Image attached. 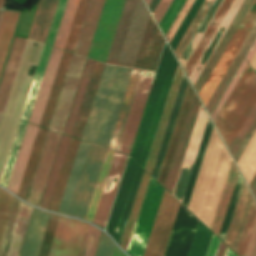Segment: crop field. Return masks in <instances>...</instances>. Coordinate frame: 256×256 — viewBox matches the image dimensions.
Wrapping results in <instances>:
<instances>
[{
  "label": "crop field",
  "mask_w": 256,
  "mask_h": 256,
  "mask_svg": "<svg viewBox=\"0 0 256 256\" xmlns=\"http://www.w3.org/2000/svg\"><path fill=\"white\" fill-rule=\"evenodd\" d=\"M131 70L104 66L82 140L108 147Z\"/></svg>",
  "instance_id": "1"
},
{
  "label": "crop field",
  "mask_w": 256,
  "mask_h": 256,
  "mask_svg": "<svg viewBox=\"0 0 256 256\" xmlns=\"http://www.w3.org/2000/svg\"><path fill=\"white\" fill-rule=\"evenodd\" d=\"M105 150L80 142L59 213L85 218Z\"/></svg>",
  "instance_id": "2"
},
{
  "label": "crop field",
  "mask_w": 256,
  "mask_h": 256,
  "mask_svg": "<svg viewBox=\"0 0 256 256\" xmlns=\"http://www.w3.org/2000/svg\"><path fill=\"white\" fill-rule=\"evenodd\" d=\"M149 17L141 0H126L106 63L134 66Z\"/></svg>",
  "instance_id": "3"
},
{
  "label": "crop field",
  "mask_w": 256,
  "mask_h": 256,
  "mask_svg": "<svg viewBox=\"0 0 256 256\" xmlns=\"http://www.w3.org/2000/svg\"><path fill=\"white\" fill-rule=\"evenodd\" d=\"M256 103V74L248 65L214 124L228 149Z\"/></svg>",
  "instance_id": "4"
},
{
  "label": "crop field",
  "mask_w": 256,
  "mask_h": 256,
  "mask_svg": "<svg viewBox=\"0 0 256 256\" xmlns=\"http://www.w3.org/2000/svg\"><path fill=\"white\" fill-rule=\"evenodd\" d=\"M255 23L256 0L253 1L245 17L198 94L205 107Z\"/></svg>",
  "instance_id": "5"
},
{
  "label": "crop field",
  "mask_w": 256,
  "mask_h": 256,
  "mask_svg": "<svg viewBox=\"0 0 256 256\" xmlns=\"http://www.w3.org/2000/svg\"><path fill=\"white\" fill-rule=\"evenodd\" d=\"M248 190L243 183L225 240L239 256L244 255L256 219V203Z\"/></svg>",
  "instance_id": "6"
},
{
  "label": "crop field",
  "mask_w": 256,
  "mask_h": 256,
  "mask_svg": "<svg viewBox=\"0 0 256 256\" xmlns=\"http://www.w3.org/2000/svg\"><path fill=\"white\" fill-rule=\"evenodd\" d=\"M164 189L150 178L127 253L142 256Z\"/></svg>",
  "instance_id": "7"
},
{
  "label": "crop field",
  "mask_w": 256,
  "mask_h": 256,
  "mask_svg": "<svg viewBox=\"0 0 256 256\" xmlns=\"http://www.w3.org/2000/svg\"><path fill=\"white\" fill-rule=\"evenodd\" d=\"M125 0H105L88 58L106 62Z\"/></svg>",
  "instance_id": "8"
},
{
  "label": "crop field",
  "mask_w": 256,
  "mask_h": 256,
  "mask_svg": "<svg viewBox=\"0 0 256 256\" xmlns=\"http://www.w3.org/2000/svg\"><path fill=\"white\" fill-rule=\"evenodd\" d=\"M180 203L164 191L143 256H163Z\"/></svg>",
  "instance_id": "9"
},
{
  "label": "crop field",
  "mask_w": 256,
  "mask_h": 256,
  "mask_svg": "<svg viewBox=\"0 0 256 256\" xmlns=\"http://www.w3.org/2000/svg\"><path fill=\"white\" fill-rule=\"evenodd\" d=\"M155 72L141 71L117 151L128 154Z\"/></svg>",
  "instance_id": "10"
},
{
  "label": "crop field",
  "mask_w": 256,
  "mask_h": 256,
  "mask_svg": "<svg viewBox=\"0 0 256 256\" xmlns=\"http://www.w3.org/2000/svg\"><path fill=\"white\" fill-rule=\"evenodd\" d=\"M85 58L73 55L62 92L50 125V130L63 132L74 94L82 73Z\"/></svg>",
  "instance_id": "11"
},
{
  "label": "crop field",
  "mask_w": 256,
  "mask_h": 256,
  "mask_svg": "<svg viewBox=\"0 0 256 256\" xmlns=\"http://www.w3.org/2000/svg\"><path fill=\"white\" fill-rule=\"evenodd\" d=\"M85 225L60 216L49 256H77Z\"/></svg>",
  "instance_id": "12"
},
{
  "label": "crop field",
  "mask_w": 256,
  "mask_h": 256,
  "mask_svg": "<svg viewBox=\"0 0 256 256\" xmlns=\"http://www.w3.org/2000/svg\"><path fill=\"white\" fill-rule=\"evenodd\" d=\"M60 134L48 131L45 144L38 162V166L30 187L27 202L39 205L42 192L50 171V167L57 149Z\"/></svg>",
  "instance_id": "13"
},
{
  "label": "crop field",
  "mask_w": 256,
  "mask_h": 256,
  "mask_svg": "<svg viewBox=\"0 0 256 256\" xmlns=\"http://www.w3.org/2000/svg\"><path fill=\"white\" fill-rule=\"evenodd\" d=\"M127 156L120 153H115L110 172L99 202V206L94 218V223L105 226L110 207L121 177V173Z\"/></svg>",
  "instance_id": "14"
},
{
  "label": "crop field",
  "mask_w": 256,
  "mask_h": 256,
  "mask_svg": "<svg viewBox=\"0 0 256 256\" xmlns=\"http://www.w3.org/2000/svg\"><path fill=\"white\" fill-rule=\"evenodd\" d=\"M62 50L52 48L41 85L29 118V123L40 125L41 118L48 100V96L54 81V77L60 62Z\"/></svg>",
  "instance_id": "15"
},
{
  "label": "crop field",
  "mask_w": 256,
  "mask_h": 256,
  "mask_svg": "<svg viewBox=\"0 0 256 256\" xmlns=\"http://www.w3.org/2000/svg\"><path fill=\"white\" fill-rule=\"evenodd\" d=\"M193 91L190 87V85L188 84L182 105H181V109L165 154V158L158 176L157 181L159 183H161L163 186H165L167 177H168V173L175 155V151L183 130V126L190 108V104L193 98Z\"/></svg>",
  "instance_id": "16"
},
{
  "label": "crop field",
  "mask_w": 256,
  "mask_h": 256,
  "mask_svg": "<svg viewBox=\"0 0 256 256\" xmlns=\"http://www.w3.org/2000/svg\"><path fill=\"white\" fill-rule=\"evenodd\" d=\"M252 1L253 0L243 1L241 7L239 8L238 12L236 13L235 17L233 18L232 22L224 33L222 39L220 40L219 44L217 45L216 49L214 50L213 54L205 65L203 71L201 72L200 76L198 77L197 81L193 86L197 94L201 89L202 85L204 84L205 80L207 79L208 75L210 74L218 58L220 57L221 53L223 52L224 48L226 47L227 43L229 42L230 38L232 37L233 33L235 32L236 28L238 27L239 23L241 22Z\"/></svg>",
  "instance_id": "17"
},
{
  "label": "crop field",
  "mask_w": 256,
  "mask_h": 256,
  "mask_svg": "<svg viewBox=\"0 0 256 256\" xmlns=\"http://www.w3.org/2000/svg\"><path fill=\"white\" fill-rule=\"evenodd\" d=\"M49 215L33 209L21 256H39Z\"/></svg>",
  "instance_id": "18"
},
{
  "label": "crop field",
  "mask_w": 256,
  "mask_h": 256,
  "mask_svg": "<svg viewBox=\"0 0 256 256\" xmlns=\"http://www.w3.org/2000/svg\"><path fill=\"white\" fill-rule=\"evenodd\" d=\"M27 40L15 38L0 83V113H3Z\"/></svg>",
  "instance_id": "19"
},
{
  "label": "crop field",
  "mask_w": 256,
  "mask_h": 256,
  "mask_svg": "<svg viewBox=\"0 0 256 256\" xmlns=\"http://www.w3.org/2000/svg\"><path fill=\"white\" fill-rule=\"evenodd\" d=\"M199 106H200V104H199L196 96L194 95V98H193V101L191 104V108H190V111H189V114H188V117H187V120H186V123L184 126V130H183V133H182V136H181V139H180L177 151H176V155H175V158H174V161H173L170 173H169V177H168V180H167V183L165 186V188L170 193H172V190H173V187H174V184L176 181V177H177V174H178V171H179V168H180V165H181L184 153H185V149H186V146H187L194 122H195V118H196Z\"/></svg>",
  "instance_id": "20"
},
{
  "label": "crop field",
  "mask_w": 256,
  "mask_h": 256,
  "mask_svg": "<svg viewBox=\"0 0 256 256\" xmlns=\"http://www.w3.org/2000/svg\"><path fill=\"white\" fill-rule=\"evenodd\" d=\"M37 126L27 125L23 141L12 171V175L8 184L9 189L14 194H17L20 181L27 163V159L34 141V137L37 131Z\"/></svg>",
  "instance_id": "21"
},
{
  "label": "crop field",
  "mask_w": 256,
  "mask_h": 256,
  "mask_svg": "<svg viewBox=\"0 0 256 256\" xmlns=\"http://www.w3.org/2000/svg\"><path fill=\"white\" fill-rule=\"evenodd\" d=\"M104 0H91L87 15L78 39L75 54L87 56L91 40L102 10Z\"/></svg>",
  "instance_id": "22"
},
{
  "label": "crop field",
  "mask_w": 256,
  "mask_h": 256,
  "mask_svg": "<svg viewBox=\"0 0 256 256\" xmlns=\"http://www.w3.org/2000/svg\"><path fill=\"white\" fill-rule=\"evenodd\" d=\"M58 0H40L28 38L45 41L49 25Z\"/></svg>",
  "instance_id": "23"
},
{
  "label": "crop field",
  "mask_w": 256,
  "mask_h": 256,
  "mask_svg": "<svg viewBox=\"0 0 256 256\" xmlns=\"http://www.w3.org/2000/svg\"><path fill=\"white\" fill-rule=\"evenodd\" d=\"M32 209V207L20 202L6 256H20Z\"/></svg>",
  "instance_id": "24"
},
{
  "label": "crop field",
  "mask_w": 256,
  "mask_h": 256,
  "mask_svg": "<svg viewBox=\"0 0 256 256\" xmlns=\"http://www.w3.org/2000/svg\"><path fill=\"white\" fill-rule=\"evenodd\" d=\"M72 53H68V52H63L62 58H61V62L55 77V81L49 96V100L43 115V119L41 122V127L44 128H49L59 95H60V91L72 58Z\"/></svg>",
  "instance_id": "25"
},
{
  "label": "crop field",
  "mask_w": 256,
  "mask_h": 256,
  "mask_svg": "<svg viewBox=\"0 0 256 256\" xmlns=\"http://www.w3.org/2000/svg\"><path fill=\"white\" fill-rule=\"evenodd\" d=\"M182 75H183V73H182L180 67L178 66V69H177V72H176V75H175V78L173 81V85H172V88H171V91H170V94H169V97H168V100H167V103H166V106H165V109H164V112L162 115V119H161L158 131H157V134H156V137H155L152 149H151V153H150V156H149L146 168H145V170L149 174H151V171H152V168H153V165L155 162V158H156V155H157V152H158V149H159V146H160V143H161V140H162L165 128H166V124H167V121H168V118H169V115H170V112H171V109H172V106H173V103H174V100H175V97L177 94V90H178Z\"/></svg>",
  "instance_id": "26"
},
{
  "label": "crop field",
  "mask_w": 256,
  "mask_h": 256,
  "mask_svg": "<svg viewBox=\"0 0 256 256\" xmlns=\"http://www.w3.org/2000/svg\"><path fill=\"white\" fill-rule=\"evenodd\" d=\"M47 131H48L47 129H43L39 127L35 137V141H34V144L28 159V163L21 181V185L17 194V196L25 200L29 191V187L36 169V165H37L43 144H44Z\"/></svg>",
  "instance_id": "27"
},
{
  "label": "crop field",
  "mask_w": 256,
  "mask_h": 256,
  "mask_svg": "<svg viewBox=\"0 0 256 256\" xmlns=\"http://www.w3.org/2000/svg\"><path fill=\"white\" fill-rule=\"evenodd\" d=\"M79 142H80L79 140H76L73 138L71 139V142H70V145H69V148H68V151H67V154H66L49 208H48L51 211H55V212L58 211Z\"/></svg>",
  "instance_id": "28"
},
{
  "label": "crop field",
  "mask_w": 256,
  "mask_h": 256,
  "mask_svg": "<svg viewBox=\"0 0 256 256\" xmlns=\"http://www.w3.org/2000/svg\"><path fill=\"white\" fill-rule=\"evenodd\" d=\"M187 84H188V82H187L185 76L183 75V78H182V81H181V84L179 87V91H178V94H177V97H176V100H175V103H174V106H173V109H172V112H171V115H170V118L168 121V125H167L166 131H165V134H164V137H163V140H162V143H161L158 155H157V159H156V162H155L152 174H151V176L154 177L155 179H157V176H158V173H159V170H160L163 158H164V154H165V151H166V148H167V145H168V142H169V139H170V136H171V133H172L179 109H180V105H181Z\"/></svg>",
  "instance_id": "29"
},
{
  "label": "crop field",
  "mask_w": 256,
  "mask_h": 256,
  "mask_svg": "<svg viewBox=\"0 0 256 256\" xmlns=\"http://www.w3.org/2000/svg\"><path fill=\"white\" fill-rule=\"evenodd\" d=\"M103 66H104L103 64H100L97 62L95 63V66H94V69L92 72V76H91V79H90V82H89V85H88V88H87V91H86V94L84 97V101H83V104H82V107H81V110H80V113H79V116H78V119L76 122V126L74 129L73 135H72L73 137H76L79 139L81 138V135H82V132L84 129V125H85V122H86V119H87V116H88V113H89V110H90V107L92 104V100H93V97H94V94H95V91H96V88H97V85H98V82L100 79V75H101Z\"/></svg>",
  "instance_id": "30"
},
{
  "label": "crop field",
  "mask_w": 256,
  "mask_h": 256,
  "mask_svg": "<svg viewBox=\"0 0 256 256\" xmlns=\"http://www.w3.org/2000/svg\"><path fill=\"white\" fill-rule=\"evenodd\" d=\"M70 139V137H66L63 135L61 136L59 146L53 161V165L39 207L46 209L48 208Z\"/></svg>",
  "instance_id": "31"
},
{
  "label": "crop field",
  "mask_w": 256,
  "mask_h": 256,
  "mask_svg": "<svg viewBox=\"0 0 256 256\" xmlns=\"http://www.w3.org/2000/svg\"><path fill=\"white\" fill-rule=\"evenodd\" d=\"M94 63H95L94 61H91L88 59L86 60V63H85L84 69H83V73H82V76H81V79H80V82H79V85H78V88H77V91L75 94V98H74V101H73V104H72V107H71V110H70V113H69V116L67 119V123H66L65 129H64V132H63L64 134H67L70 136L72 135V132H73V129L75 126V122H76V119H77V116H78V113H79V110H80V107H81V104L83 101V97H84V94H85V91H86V88H87V85H88V82H89V79L91 76V72H92Z\"/></svg>",
  "instance_id": "32"
},
{
  "label": "crop field",
  "mask_w": 256,
  "mask_h": 256,
  "mask_svg": "<svg viewBox=\"0 0 256 256\" xmlns=\"http://www.w3.org/2000/svg\"><path fill=\"white\" fill-rule=\"evenodd\" d=\"M233 1L234 0H225L222 6L220 7L219 11L217 12L215 18L213 19L212 23L210 24L205 35L203 36L198 47L196 48L195 52L193 53L192 57L190 58L188 64L184 69L188 77L192 72L193 68L195 67L200 56L202 55L203 51L205 50L206 46L208 45L209 41L211 40L212 36L214 35L222 19L224 18L225 14L227 13L228 9L230 8L231 4L233 3Z\"/></svg>",
  "instance_id": "33"
},
{
  "label": "crop field",
  "mask_w": 256,
  "mask_h": 256,
  "mask_svg": "<svg viewBox=\"0 0 256 256\" xmlns=\"http://www.w3.org/2000/svg\"><path fill=\"white\" fill-rule=\"evenodd\" d=\"M140 71L141 70H137V69L132 70L131 77H130V80H129V83H128V86L126 89V93H125V96H124V99H123V102L121 105V109H120V112H119V115H118V118L116 121V125L114 128L112 137H111V141H110V144L108 147L110 149H114V150L116 149V146H117V143L119 140V136H120V133H121V130H122V127H123V124H124V121H125V118L127 115V111H128V108H129V105H130V102H131V99H132V96H133V93L135 90V86H136Z\"/></svg>",
  "instance_id": "34"
},
{
  "label": "crop field",
  "mask_w": 256,
  "mask_h": 256,
  "mask_svg": "<svg viewBox=\"0 0 256 256\" xmlns=\"http://www.w3.org/2000/svg\"><path fill=\"white\" fill-rule=\"evenodd\" d=\"M149 178H150V176L148 174H146L145 172H143V175H142V178L140 181V185H139V188H138V191H137V194H136L133 206H132V210H131V213H130V216H129V219H128V222H127V225H126V228L124 231V235H123V238H122V241L120 244V246L125 251H127V247H128V244H129V241H130V238H131L134 226H135V222H136V219H137L140 207H141V203H142V200H143L146 188H147Z\"/></svg>",
  "instance_id": "35"
},
{
  "label": "crop field",
  "mask_w": 256,
  "mask_h": 256,
  "mask_svg": "<svg viewBox=\"0 0 256 256\" xmlns=\"http://www.w3.org/2000/svg\"><path fill=\"white\" fill-rule=\"evenodd\" d=\"M256 37V24L252 29L251 33L249 34L248 38L246 39L245 43L243 44L242 48L240 49L238 55L236 56L235 60L233 61L232 65L230 66L229 70L227 71L226 75L224 76L223 80L221 81L220 85L218 86L216 92L214 93L213 97L211 98L210 102L208 103L206 109L210 114L211 110L213 109L214 105L216 104L217 100L219 99L220 95L222 94L223 90L225 89L227 83L229 82L230 78L232 77L233 73L235 72L236 68L238 67L239 63L241 62L242 58L244 57L245 53L247 52L248 48L250 47L251 43L253 42L254 38Z\"/></svg>",
  "instance_id": "36"
},
{
  "label": "crop field",
  "mask_w": 256,
  "mask_h": 256,
  "mask_svg": "<svg viewBox=\"0 0 256 256\" xmlns=\"http://www.w3.org/2000/svg\"><path fill=\"white\" fill-rule=\"evenodd\" d=\"M51 48L52 47L50 46H46V45L44 46L32 85H31L21 118H20L21 120H24L26 122L28 121Z\"/></svg>",
  "instance_id": "37"
},
{
  "label": "crop field",
  "mask_w": 256,
  "mask_h": 256,
  "mask_svg": "<svg viewBox=\"0 0 256 256\" xmlns=\"http://www.w3.org/2000/svg\"><path fill=\"white\" fill-rule=\"evenodd\" d=\"M238 171L232 162L211 230L218 235Z\"/></svg>",
  "instance_id": "38"
},
{
  "label": "crop field",
  "mask_w": 256,
  "mask_h": 256,
  "mask_svg": "<svg viewBox=\"0 0 256 256\" xmlns=\"http://www.w3.org/2000/svg\"><path fill=\"white\" fill-rule=\"evenodd\" d=\"M113 153H114L113 151H110L108 149L106 150V154H105V157H104L101 169H100V173H99V176H98V179L96 182V186H95V189H94V192L92 195V199H91V202H90V205H89V208L87 211V215L85 218L86 220H88L90 222H92V219H93V216L95 213V209H96V206H97V203H98L101 191H102V187H103V184H104V181H105V178H106L109 166H110V162H111Z\"/></svg>",
  "instance_id": "39"
},
{
  "label": "crop field",
  "mask_w": 256,
  "mask_h": 256,
  "mask_svg": "<svg viewBox=\"0 0 256 256\" xmlns=\"http://www.w3.org/2000/svg\"><path fill=\"white\" fill-rule=\"evenodd\" d=\"M19 13L6 11L0 27V70Z\"/></svg>",
  "instance_id": "40"
},
{
  "label": "crop field",
  "mask_w": 256,
  "mask_h": 256,
  "mask_svg": "<svg viewBox=\"0 0 256 256\" xmlns=\"http://www.w3.org/2000/svg\"><path fill=\"white\" fill-rule=\"evenodd\" d=\"M79 0H68L59 30L54 42V47L64 48Z\"/></svg>",
  "instance_id": "41"
},
{
  "label": "crop field",
  "mask_w": 256,
  "mask_h": 256,
  "mask_svg": "<svg viewBox=\"0 0 256 256\" xmlns=\"http://www.w3.org/2000/svg\"><path fill=\"white\" fill-rule=\"evenodd\" d=\"M89 2L90 0H80L79 2L76 15L64 48L65 50L70 51L72 53L74 52Z\"/></svg>",
  "instance_id": "42"
},
{
  "label": "crop field",
  "mask_w": 256,
  "mask_h": 256,
  "mask_svg": "<svg viewBox=\"0 0 256 256\" xmlns=\"http://www.w3.org/2000/svg\"><path fill=\"white\" fill-rule=\"evenodd\" d=\"M213 1L214 0H205L198 13L196 14L195 18L193 19L191 25L189 26L188 30L186 31L185 35L183 36L182 40L180 41L178 47L174 52L178 60L182 55L183 51L185 50L186 46L188 45L189 41L191 40L192 36L194 35L195 31L197 30L198 26L200 25L201 21L203 20Z\"/></svg>",
  "instance_id": "43"
},
{
  "label": "crop field",
  "mask_w": 256,
  "mask_h": 256,
  "mask_svg": "<svg viewBox=\"0 0 256 256\" xmlns=\"http://www.w3.org/2000/svg\"><path fill=\"white\" fill-rule=\"evenodd\" d=\"M26 125H27L26 123H23L21 121L19 122L18 129H17L16 135H15L13 145H12V148H11V151H10V154L8 157V161H7L4 173H3V177H2V180L0 183L4 187H7V184H8V181H9V178L11 175V171H12V168H13V165H14V162H15V159H16L21 141H22V137H23Z\"/></svg>",
  "instance_id": "44"
},
{
  "label": "crop field",
  "mask_w": 256,
  "mask_h": 256,
  "mask_svg": "<svg viewBox=\"0 0 256 256\" xmlns=\"http://www.w3.org/2000/svg\"><path fill=\"white\" fill-rule=\"evenodd\" d=\"M247 65V62L245 61V59H243L242 63L240 64L239 68L237 69L236 73L234 74L226 90L224 91L223 95L221 96L220 100L218 101L217 105L215 106L214 110L210 115L213 122L217 117L218 113L220 112L221 108L223 107L224 103L226 102L227 98L229 97L230 93L234 89L235 85L237 84L238 80L240 79L241 75L243 74L244 70L246 69Z\"/></svg>",
  "instance_id": "45"
},
{
  "label": "crop field",
  "mask_w": 256,
  "mask_h": 256,
  "mask_svg": "<svg viewBox=\"0 0 256 256\" xmlns=\"http://www.w3.org/2000/svg\"><path fill=\"white\" fill-rule=\"evenodd\" d=\"M13 198L14 197L12 195L0 189V244L4 234Z\"/></svg>",
  "instance_id": "46"
},
{
  "label": "crop field",
  "mask_w": 256,
  "mask_h": 256,
  "mask_svg": "<svg viewBox=\"0 0 256 256\" xmlns=\"http://www.w3.org/2000/svg\"><path fill=\"white\" fill-rule=\"evenodd\" d=\"M184 2L185 0H174L170 8L168 9L167 13L165 14L163 20L161 21L160 25L158 24L164 36L168 31L169 27L171 26L172 22L174 21L176 15L178 14Z\"/></svg>",
  "instance_id": "47"
},
{
  "label": "crop field",
  "mask_w": 256,
  "mask_h": 256,
  "mask_svg": "<svg viewBox=\"0 0 256 256\" xmlns=\"http://www.w3.org/2000/svg\"><path fill=\"white\" fill-rule=\"evenodd\" d=\"M58 217L59 216H57V215H53V214L50 215V219H49L46 234L44 237L43 245L41 248L40 256H48V254H49V250L51 247V243H52L55 228L57 225Z\"/></svg>",
  "instance_id": "48"
},
{
  "label": "crop field",
  "mask_w": 256,
  "mask_h": 256,
  "mask_svg": "<svg viewBox=\"0 0 256 256\" xmlns=\"http://www.w3.org/2000/svg\"><path fill=\"white\" fill-rule=\"evenodd\" d=\"M66 2H67V0H59V2H58L56 12H55V15H54V18H53L46 42H45L46 44H49L51 46L53 45Z\"/></svg>",
  "instance_id": "49"
},
{
  "label": "crop field",
  "mask_w": 256,
  "mask_h": 256,
  "mask_svg": "<svg viewBox=\"0 0 256 256\" xmlns=\"http://www.w3.org/2000/svg\"><path fill=\"white\" fill-rule=\"evenodd\" d=\"M19 202H20L19 200L14 198V202H13L12 209L10 212L9 220L7 223V227H6L5 234H4L3 241L1 244V248H0V256H5L7 245H8L9 238H10L11 231H12V227H13L14 220L16 217L17 209L19 206Z\"/></svg>",
  "instance_id": "50"
},
{
  "label": "crop field",
  "mask_w": 256,
  "mask_h": 256,
  "mask_svg": "<svg viewBox=\"0 0 256 256\" xmlns=\"http://www.w3.org/2000/svg\"><path fill=\"white\" fill-rule=\"evenodd\" d=\"M255 119H256V104L229 149L230 152L232 153V156L234 155L237 148L241 144L242 140L244 139L245 135L247 134L248 130L250 129V127L253 124V122L255 121Z\"/></svg>",
  "instance_id": "51"
},
{
  "label": "crop field",
  "mask_w": 256,
  "mask_h": 256,
  "mask_svg": "<svg viewBox=\"0 0 256 256\" xmlns=\"http://www.w3.org/2000/svg\"><path fill=\"white\" fill-rule=\"evenodd\" d=\"M115 244L103 233H101L96 256H112Z\"/></svg>",
  "instance_id": "52"
},
{
  "label": "crop field",
  "mask_w": 256,
  "mask_h": 256,
  "mask_svg": "<svg viewBox=\"0 0 256 256\" xmlns=\"http://www.w3.org/2000/svg\"><path fill=\"white\" fill-rule=\"evenodd\" d=\"M100 233H101V231H99L97 228H95L93 226L91 227V231H90V235H89V239H88V243L86 246L84 256H94L95 255V251L97 248Z\"/></svg>",
  "instance_id": "53"
},
{
  "label": "crop field",
  "mask_w": 256,
  "mask_h": 256,
  "mask_svg": "<svg viewBox=\"0 0 256 256\" xmlns=\"http://www.w3.org/2000/svg\"><path fill=\"white\" fill-rule=\"evenodd\" d=\"M194 0H186L185 4L183 5L182 9L180 10L178 16L176 17L175 21L173 22L172 26L170 27L169 31L166 34V39L169 43L170 39L172 38L173 34L175 33L176 29L178 28L180 22L182 21L183 17L185 16L186 12L188 11L189 7L191 6Z\"/></svg>",
  "instance_id": "54"
},
{
  "label": "crop field",
  "mask_w": 256,
  "mask_h": 256,
  "mask_svg": "<svg viewBox=\"0 0 256 256\" xmlns=\"http://www.w3.org/2000/svg\"><path fill=\"white\" fill-rule=\"evenodd\" d=\"M172 0H160L159 4L154 10V18L156 22L159 24L161 19L163 18L166 10L168 9L169 5L171 4Z\"/></svg>",
  "instance_id": "55"
},
{
  "label": "crop field",
  "mask_w": 256,
  "mask_h": 256,
  "mask_svg": "<svg viewBox=\"0 0 256 256\" xmlns=\"http://www.w3.org/2000/svg\"><path fill=\"white\" fill-rule=\"evenodd\" d=\"M256 130V121L254 122L253 126L249 130L248 134L246 135L245 139L243 140L242 144L238 148L237 152L234 155V160L237 162L239 157L241 156L243 150L245 149L246 145L248 144L250 138L252 137L254 131Z\"/></svg>",
  "instance_id": "56"
},
{
  "label": "crop field",
  "mask_w": 256,
  "mask_h": 256,
  "mask_svg": "<svg viewBox=\"0 0 256 256\" xmlns=\"http://www.w3.org/2000/svg\"><path fill=\"white\" fill-rule=\"evenodd\" d=\"M220 240L212 235L206 256H215Z\"/></svg>",
  "instance_id": "57"
},
{
  "label": "crop field",
  "mask_w": 256,
  "mask_h": 256,
  "mask_svg": "<svg viewBox=\"0 0 256 256\" xmlns=\"http://www.w3.org/2000/svg\"><path fill=\"white\" fill-rule=\"evenodd\" d=\"M255 240H256V222H255V225H254V228H253V231H252V234H251V237H250V240H249V243H248V246H247L244 256H251V253H252V250H253V247L255 244Z\"/></svg>",
  "instance_id": "58"
},
{
  "label": "crop field",
  "mask_w": 256,
  "mask_h": 256,
  "mask_svg": "<svg viewBox=\"0 0 256 256\" xmlns=\"http://www.w3.org/2000/svg\"><path fill=\"white\" fill-rule=\"evenodd\" d=\"M90 227H91L90 225H86V229H85V232H84V236H83V239H82V243H81V246H80L78 256L83 255L84 248H85V245H86V241H87V238H88V234H89V231H90Z\"/></svg>",
  "instance_id": "59"
},
{
  "label": "crop field",
  "mask_w": 256,
  "mask_h": 256,
  "mask_svg": "<svg viewBox=\"0 0 256 256\" xmlns=\"http://www.w3.org/2000/svg\"><path fill=\"white\" fill-rule=\"evenodd\" d=\"M21 14H22V13L19 14V17H18V20H17V23H16V27H15V30H14V33H13V36H12V39H11V42H10V45H9V48H8V52H7V55H6V58H5V61H4V64H3V67H2V70H1V73H0V80H1L2 73H3L4 67H5V64H6L8 55H9V52H10V48H11V45H12V42H13V39H14V36H15V33H16V30H17V27H18V23H19Z\"/></svg>",
  "instance_id": "60"
},
{
  "label": "crop field",
  "mask_w": 256,
  "mask_h": 256,
  "mask_svg": "<svg viewBox=\"0 0 256 256\" xmlns=\"http://www.w3.org/2000/svg\"><path fill=\"white\" fill-rule=\"evenodd\" d=\"M256 51V39L253 42L252 46L250 47L249 51L247 52L245 59L247 60V62L249 63L251 57L253 56L254 52Z\"/></svg>",
  "instance_id": "61"
},
{
  "label": "crop field",
  "mask_w": 256,
  "mask_h": 256,
  "mask_svg": "<svg viewBox=\"0 0 256 256\" xmlns=\"http://www.w3.org/2000/svg\"><path fill=\"white\" fill-rule=\"evenodd\" d=\"M226 248H227V246L225 244H223L222 242H220V245H219L218 252H217L216 256H224Z\"/></svg>",
  "instance_id": "62"
},
{
  "label": "crop field",
  "mask_w": 256,
  "mask_h": 256,
  "mask_svg": "<svg viewBox=\"0 0 256 256\" xmlns=\"http://www.w3.org/2000/svg\"><path fill=\"white\" fill-rule=\"evenodd\" d=\"M249 186H250V188H251V190H252V192H253V194H254V196L256 198V175L254 176V178L251 181Z\"/></svg>",
  "instance_id": "63"
},
{
  "label": "crop field",
  "mask_w": 256,
  "mask_h": 256,
  "mask_svg": "<svg viewBox=\"0 0 256 256\" xmlns=\"http://www.w3.org/2000/svg\"><path fill=\"white\" fill-rule=\"evenodd\" d=\"M225 256H236L229 248H227Z\"/></svg>",
  "instance_id": "64"
},
{
  "label": "crop field",
  "mask_w": 256,
  "mask_h": 256,
  "mask_svg": "<svg viewBox=\"0 0 256 256\" xmlns=\"http://www.w3.org/2000/svg\"><path fill=\"white\" fill-rule=\"evenodd\" d=\"M4 12H5V11H0V24H1V21H2L3 15H4Z\"/></svg>",
  "instance_id": "65"
},
{
  "label": "crop field",
  "mask_w": 256,
  "mask_h": 256,
  "mask_svg": "<svg viewBox=\"0 0 256 256\" xmlns=\"http://www.w3.org/2000/svg\"><path fill=\"white\" fill-rule=\"evenodd\" d=\"M5 0H0V9H2Z\"/></svg>",
  "instance_id": "66"
},
{
  "label": "crop field",
  "mask_w": 256,
  "mask_h": 256,
  "mask_svg": "<svg viewBox=\"0 0 256 256\" xmlns=\"http://www.w3.org/2000/svg\"><path fill=\"white\" fill-rule=\"evenodd\" d=\"M252 256H256V244H255V247H254V250H253Z\"/></svg>",
  "instance_id": "67"
},
{
  "label": "crop field",
  "mask_w": 256,
  "mask_h": 256,
  "mask_svg": "<svg viewBox=\"0 0 256 256\" xmlns=\"http://www.w3.org/2000/svg\"><path fill=\"white\" fill-rule=\"evenodd\" d=\"M150 1H151V0H145L147 6H148V4H149Z\"/></svg>",
  "instance_id": "68"
}]
</instances>
